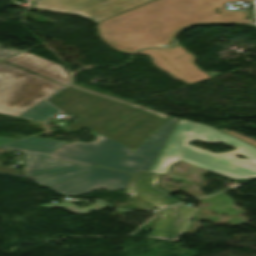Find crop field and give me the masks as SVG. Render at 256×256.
Masks as SVG:
<instances>
[{"label":"crop field","mask_w":256,"mask_h":256,"mask_svg":"<svg viewBox=\"0 0 256 256\" xmlns=\"http://www.w3.org/2000/svg\"><path fill=\"white\" fill-rule=\"evenodd\" d=\"M3 78V76L0 75V79Z\"/></svg>","instance_id":"obj_26"},{"label":"crop field","mask_w":256,"mask_h":256,"mask_svg":"<svg viewBox=\"0 0 256 256\" xmlns=\"http://www.w3.org/2000/svg\"><path fill=\"white\" fill-rule=\"evenodd\" d=\"M48 102L60 110L82 118L95 129L132 149H136L165 120L73 89H64Z\"/></svg>","instance_id":"obj_3"},{"label":"crop field","mask_w":256,"mask_h":256,"mask_svg":"<svg viewBox=\"0 0 256 256\" xmlns=\"http://www.w3.org/2000/svg\"><path fill=\"white\" fill-rule=\"evenodd\" d=\"M252 0H157L97 23L98 36L129 53L148 45H167L174 33L195 22L251 23L246 12L228 11L226 2ZM252 24V23H251Z\"/></svg>","instance_id":"obj_1"},{"label":"crop field","mask_w":256,"mask_h":256,"mask_svg":"<svg viewBox=\"0 0 256 256\" xmlns=\"http://www.w3.org/2000/svg\"><path fill=\"white\" fill-rule=\"evenodd\" d=\"M42 166H44V165L42 164Z\"/></svg>","instance_id":"obj_27"},{"label":"crop field","mask_w":256,"mask_h":256,"mask_svg":"<svg viewBox=\"0 0 256 256\" xmlns=\"http://www.w3.org/2000/svg\"><path fill=\"white\" fill-rule=\"evenodd\" d=\"M178 118H171L163 123L157 130H155L133 153L132 155L147 158L141 171L147 172L151 165L156 160L164 142L168 138Z\"/></svg>","instance_id":"obj_12"},{"label":"crop field","mask_w":256,"mask_h":256,"mask_svg":"<svg viewBox=\"0 0 256 256\" xmlns=\"http://www.w3.org/2000/svg\"><path fill=\"white\" fill-rule=\"evenodd\" d=\"M18 152H21V151H18ZM41 163L45 164L46 167L40 168ZM70 165H74V164H69V163L49 159L45 155H39V154H33V153H27V152H25V155H24L25 174L64 167V166H70Z\"/></svg>","instance_id":"obj_15"},{"label":"crop field","mask_w":256,"mask_h":256,"mask_svg":"<svg viewBox=\"0 0 256 256\" xmlns=\"http://www.w3.org/2000/svg\"><path fill=\"white\" fill-rule=\"evenodd\" d=\"M82 124V123H81ZM84 125V124H83ZM86 126V125H85ZM88 127V126H87ZM90 128V127H89ZM92 129V128H91ZM93 130H95V129H93ZM95 131H97V132H99V133H105V132H107V131H105V130H102V131H98V130H95Z\"/></svg>","instance_id":"obj_25"},{"label":"crop field","mask_w":256,"mask_h":256,"mask_svg":"<svg viewBox=\"0 0 256 256\" xmlns=\"http://www.w3.org/2000/svg\"><path fill=\"white\" fill-rule=\"evenodd\" d=\"M141 52L151 55L190 84L209 78L197 69L192 64L193 59L176 45L171 48L145 49Z\"/></svg>","instance_id":"obj_8"},{"label":"crop field","mask_w":256,"mask_h":256,"mask_svg":"<svg viewBox=\"0 0 256 256\" xmlns=\"http://www.w3.org/2000/svg\"><path fill=\"white\" fill-rule=\"evenodd\" d=\"M131 176V173L98 168L49 188L64 194L66 197L74 194L85 195L100 188L113 191L126 189Z\"/></svg>","instance_id":"obj_7"},{"label":"crop field","mask_w":256,"mask_h":256,"mask_svg":"<svg viewBox=\"0 0 256 256\" xmlns=\"http://www.w3.org/2000/svg\"><path fill=\"white\" fill-rule=\"evenodd\" d=\"M63 144H66V143L47 140V139L28 137V138L20 139L18 141L0 146V151L15 149V150L49 155L56 148H58Z\"/></svg>","instance_id":"obj_13"},{"label":"crop field","mask_w":256,"mask_h":256,"mask_svg":"<svg viewBox=\"0 0 256 256\" xmlns=\"http://www.w3.org/2000/svg\"><path fill=\"white\" fill-rule=\"evenodd\" d=\"M34 7L41 8V9H46V10H51V11H56V10H52V9H48V8H44V7H40V6H36V5H34ZM56 12H61V11H56ZM61 13H66V12H61ZM66 14H70V13H66Z\"/></svg>","instance_id":"obj_24"},{"label":"crop field","mask_w":256,"mask_h":256,"mask_svg":"<svg viewBox=\"0 0 256 256\" xmlns=\"http://www.w3.org/2000/svg\"><path fill=\"white\" fill-rule=\"evenodd\" d=\"M158 176L157 174L144 172H140L139 175L133 174L126 194L130 196L138 195L159 208L179 202L154 186Z\"/></svg>","instance_id":"obj_10"},{"label":"crop field","mask_w":256,"mask_h":256,"mask_svg":"<svg viewBox=\"0 0 256 256\" xmlns=\"http://www.w3.org/2000/svg\"><path fill=\"white\" fill-rule=\"evenodd\" d=\"M57 112H59L57 109L43 101L35 107L28 110L20 117L28 120L43 122Z\"/></svg>","instance_id":"obj_16"},{"label":"crop field","mask_w":256,"mask_h":256,"mask_svg":"<svg viewBox=\"0 0 256 256\" xmlns=\"http://www.w3.org/2000/svg\"><path fill=\"white\" fill-rule=\"evenodd\" d=\"M224 142L237 149L213 154L192 147L191 140ZM236 153L248 159H237ZM178 159L233 179L256 177V148L212 127L180 119L150 170L165 174Z\"/></svg>","instance_id":"obj_2"},{"label":"crop field","mask_w":256,"mask_h":256,"mask_svg":"<svg viewBox=\"0 0 256 256\" xmlns=\"http://www.w3.org/2000/svg\"><path fill=\"white\" fill-rule=\"evenodd\" d=\"M17 139L14 138H7V137H0V145L15 141Z\"/></svg>","instance_id":"obj_23"},{"label":"crop field","mask_w":256,"mask_h":256,"mask_svg":"<svg viewBox=\"0 0 256 256\" xmlns=\"http://www.w3.org/2000/svg\"><path fill=\"white\" fill-rule=\"evenodd\" d=\"M20 51L21 50H17V49H7V50H5V49L0 48V59L4 58V57H7V56H10V55L15 54V53L20 52Z\"/></svg>","instance_id":"obj_19"},{"label":"crop field","mask_w":256,"mask_h":256,"mask_svg":"<svg viewBox=\"0 0 256 256\" xmlns=\"http://www.w3.org/2000/svg\"><path fill=\"white\" fill-rule=\"evenodd\" d=\"M90 143L74 142L63 145L49 155V158L79 164L98 165L106 168L138 173L144 158L129 155L133 150L99 134Z\"/></svg>","instance_id":"obj_4"},{"label":"crop field","mask_w":256,"mask_h":256,"mask_svg":"<svg viewBox=\"0 0 256 256\" xmlns=\"http://www.w3.org/2000/svg\"><path fill=\"white\" fill-rule=\"evenodd\" d=\"M0 172L21 174L20 170L12 169L0 164Z\"/></svg>","instance_id":"obj_22"},{"label":"crop field","mask_w":256,"mask_h":256,"mask_svg":"<svg viewBox=\"0 0 256 256\" xmlns=\"http://www.w3.org/2000/svg\"><path fill=\"white\" fill-rule=\"evenodd\" d=\"M83 128H86V127L81 125L78 122H75V123L69 124L65 129L76 131V130L83 129Z\"/></svg>","instance_id":"obj_21"},{"label":"crop field","mask_w":256,"mask_h":256,"mask_svg":"<svg viewBox=\"0 0 256 256\" xmlns=\"http://www.w3.org/2000/svg\"><path fill=\"white\" fill-rule=\"evenodd\" d=\"M40 206H46V207H63L73 213H78V214H88L89 211H92V210H99L101 209L102 207L106 206L100 202H97L89 207H86V208H80L76 205H74L73 203L69 202V201H66L64 203H59V204H42ZM95 206H98V208H96ZM103 209V208H102Z\"/></svg>","instance_id":"obj_17"},{"label":"crop field","mask_w":256,"mask_h":256,"mask_svg":"<svg viewBox=\"0 0 256 256\" xmlns=\"http://www.w3.org/2000/svg\"><path fill=\"white\" fill-rule=\"evenodd\" d=\"M35 4L99 22L154 0H33Z\"/></svg>","instance_id":"obj_6"},{"label":"crop field","mask_w":256,"mask_h":256,"mask_svg":"<svg viewBox=\"0 0 256 256\" xmlns=\"http://www.w3.org/2000/svg\"><path fill=\"white\" fill-rule=\"evenodd\" d=\"M69 87H72V88H75V89H78V90H81V91H84V92H88V93H91V94H94V95H98V96H101V97H104V98H108V99H111V100H114V101H117V102L129 105L131 107H134V108H137V109L149 112L151 114L160 116V117L165 118V119L169 118V115H165V114H162V113L154 112V111H151V110L146 109L144 107L138 106L136 104H133V103H130V102H127V101H123V100H120V99H117V98H114V97H111V96H107V95H104V94H101V93H98V92H95V91H91V90H88V89H85V88H82V87H79V86H76V85H73V84H71Z\"/></svg>","instance_id":"obj_18"},{"label":"crop field","mask_w":256,"mask_h":256,"mask_svg":"<svg viewBox=\"0 0 256 256\" xmlns=\"http://www.w3.org/2000/svg\"><path fill=\"white\" fill-rule=\"evenodd\" d=\"M0 113L18 117L64 86L0 61Z\"/></svg>","instance_id":"obj_5"},{"label":"crop field","mask_w":256,"mask_h":256,"mask_svg":"<svg viewBox=\"0 0 256 256\" xmlns=\"http://www.w3.org/2000/svg\"><path fill=\"white\" fill-rule=\"evenodd\" d=\"M224 132H226V133H228V134H231V135H233V136H236V137H238V138H240V139H242V140H244V141H246V142H248V143H250V144L256 146V141H254V140H252V139H250V138H248V137H246V136L239 135V134H235V133H233V132H227L226 130H225Z\"/></svg>","instance_id":"obj_20"},{"label":"crop field","mask_w":256,"mask_h":256,"mask_svg":"<svg viewBox=\"0 0 256 256\" xmlns=\"http://www.w3.org/2000/svg\"><path fill=\"white\" fill-rule=\"evenodd\" d=\"M3 61L64 85L70 83V79L64 67L29 54L27 52L18 54Z\"/></svg>","instance_id":"obj_11"},{"label":"crop field","mask_w":256,"mask_h":256,"mask_svg":"<svg viewBox=\"0 0 256 256\" xmlns=\"http://www.w3.org/2000/svg\"><path fill=\"white\" fill-rule=\"evenodd\" d=\"M95 168H98V167L85 168L79 165H75V166L48 170V171L32 173L27 175L35 177L41 180L42 182L46 183L47 185L51 186L55 183H58L60 181L82 174L84 172L93 170Z\"/></svg>","instance_id":"obj_14"},{"label":"crop field","mask_w":256,"mask_h":256,"mask_svg":"<svg viewBox=\"0 0 256 256\" xmlns=\"http://www.w3.org/2000/svg\"><path fill=\"white\" fill-rule=\"evenodd\" d=\"M195 211L184 203L164 210L149 237L178 241Z\"/></svg>","instance_id":"obj_9"}]
</instances>
